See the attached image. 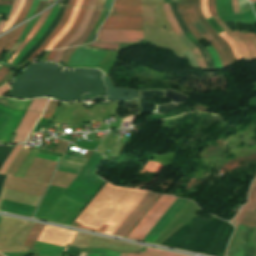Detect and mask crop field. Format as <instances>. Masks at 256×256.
Instances as JSON below:
<instances>
[{
    "label": "crop field",
    "mask_w": 256,
    "mask_h": 256,
    "mask_svg": "<svg viewBox=\"0 0 256 256\" xmlns=\"http://www.w3.org/2000/svg\"><path fill=\"white\" fill-rule=\"evenodd\" d=\"M8 89H9V88H8L7 84H6L5 86L1 87V88H0V96H1L3 93H5Z\"/></svg>",
    "instance_id": "crop-field-50"
},
{
    "label": "crop field",
    "mask_w": 256,
    "mask_h": 256,
    "mask_svg": "<svg viewBox=\"0 0 256 256\" xmlns=\"http://www.w3.org/2000/svg\"><path fill=\"white\" fill-rule=\"evenodd\" d=\"M28 24V23H27ZM23 25L22 27L18 28L17 30L3 36L0 38V53L2 52V50L5 48L7 42L9 41L10 37L12 36L8 46L6 49H10L12 47V45L16 42V40L19 38V36L21 35L23 29L25 28V26L27 25ZM5 50V49H4Z\"/></svg>",
    "instance_id": "crop-field-23"
},
{
    "label": "crop field",
    "mask_w": 256,
    "mask_h": 256,
    "mask_svg": "<svg viewBox=\"0 0 256 256\" xmlns=\"http://www.w3.org/2000/svg\"><path fill=\"white\" fill-rule=\"evenodd\" d=\"M219 35L230 45L236 60H239L240 58H242L233 39L225 32H223Z\"/></svg>",
    "instance_id": "crop-field-32"
},
{
    "label": "crop field",
    "mask_w": 256,
    "mask_h": 256,
    "mask_svg": "<svg viewBox=\"0 0 256 256\" xmlns=\"http://www.w3.org/2000/svg\"><path fill=\"white\" fill-rule=\"evenodd\" d=\"M22 146H23V144L15 146V148L12 150V152L9 154L6 161L2 165V167L0 169L1 174H4V172L7 170V168L10 166V164L12 163V161L14 160V158L16 157V155L18 154V152L22 148Z\"/></svg>",
    "instance_id": "crop-field-30"
},
{
    "label": "crop field",
    "mask_w": 256,
    "mask_h": 256,
    "mask_svg": "<svg viewBox=\"0 0 256 256\" xmlns=\"http://www.w3.org/2000/svg\"><path fill=\"white\" fill-rule=\"evenodd\" d=\"M176 199L173 196L161 195L127 238L143 241Z\"/></svg>",
    "instance_id": "crop-field-6"
},
{
    "label": "crop field",
    "mask_w": 256,
    "mask_h": 256,
    "mask_svg": "<svg viewBox=\"0 0 256 256\" xmlns=\"http://www.w3.org/2000/svg\"><path fill=\"white\" fill-rule=\"evenodd\" d=\"M60 6L61 5L59 3L57 6H55L52 9V11H51L50 15L48 16V18L46 19L44 25L41 27V29L38 31V33L33 37V39L26 45V47L17 55V57L15 58V60L13 61V63L11 65L16 67V65L20 62V60L25 55V53L41 38V36L44 34L46 29L50 26L51 22L56 17Z\"/></svg>",
    "instance_id": "crop-field-15"
},
{
    "label": "crop field",
    "mask_w": 256,
    "mask_h": 256,
    "mask_svg": "<svg viewBox=\"0 0 256 256\" xmlns=\"http://www.w3.org/2000/svg\"><path fill=\"white\" fill-rule=\"evenodd\" d=\"M18 2H19V0H15L14 5H13V8H12L10 14H9V18H10V16H11L12 12L14 11V9L16 8Z\"/></svg>",
    "instance_id": "crop-field-52"
},
{
    "label": "crop field",
    "mask_w": 256,
    "mask_h": 256,
    "mask_svg": "<svg viewBox=\"0 0 256 256\" xmlns=\"http://www.w3.org/2000/svg\"><path fill=\"white\" fill-rule=\"evenodd\" d=\"M47 101L48 99L32 100L25 116L23 117L16 131L17 135L12 144L26 141L29 132L34 127L38 118L43 112Z\"/></svg>",
    "instance_id": "crop-field-7"
},
{
    "label": "crop field",
    "mask_w": 256,
    "mask_h": 256,
    "mask_svg": "<svg viewBox=\"0 0 256 256\" xmlns=\"http://www.w3.org/2000/svg\"><path fill=\"white\" fill-rule=\"evenodd\" d=\"M112 5V0H106L104 9L105 10H110Z\"/></svg>",
    "instance_id": "crop-field-47"
},
{
    "label": "crop field",
    "mask_w": 256,
    "mask_h": 256,
    "mask_svg": "<svg viewBox=\"0 0 256 256\" xmlns=\"http://www.w3.org/2000/svg\"><path fill=\"white\" fill-rule=\"evenodd\" d=\"M107 51L79 47L68 65L98 66Z\"/></svg>",
    "instance_id": "crop-field-10"
},
{
    "label": "crop field",
    "mask_w": 256,
    "mask_h": 256,
    "mask_svg": "<svg viewBox=\"0 0 256 256\" xmlns=\"http://www.w3.org/2000/svg\"><path fill=\"white\" fill-rule=\"evenodd\" d=\"M37 157H41V158H45V159H49V160H53V161H57V162L59 160L58 157L49 156V155H45V154H41V153H38Z\"/></svg>",
    "instance_id": "crop-field-43"
},
{
    "label": "crop field",
    "mask_w": 256,
    "mask_h": 256,
    "mask_svg": "<svg viewBox=\"0 0 256 256\" xmlns=\"http://www.w3.org/2000/svg\"><path fill=\"white\" fill-rule=\"evenodd\" d=\"M81 2H82V0H76V5L75 6H80Z\"/></svg>",
    "instance_id": "crop-field-56"
},
{
    "label": "crop field",
    "mask_w": 256,
    "mask_h": 256,
    "mask_svg": "<svg viewBox=\"0 0 256 256\" xmlns=\"http://www.w3.org/2000/svg\"><path fill=\"white\" fill-rule=\"evenodd\" d=\"M89 256H103V254L91 251ZM104 256H112V255L104 254Z\"/></svg>",
    "instance_id": "crop-field-49"
},
{
    "label": "crop field",
    "mask_w": 256,
    "mask_h": 256,
    "mask_svg": "<svg viewBox=\"0 0 256 256\" xmlns=\"http://www.w3.org/2000/svg\"><path fill=\"white\" fill-rule=\"evenodd\" d=\"M158 196L159 194L148 192L114 235L125 237Z\"/></svg>",
    "instance_id": "crop-field-8"
},
{
    "label": "crop field",
    "mask_w": 256,
    "mask_h": 256,
    "mask_svg": "<svg viewBox=\"0 0 256 256\" xmlns=\"http://www.w3.org/2000/svg\"><path fill=\"white\" fill-rule=\"evenodd\" d=\"M208 7L213 17L217 16L216 10H215V0H209L208 1Z\"/></svg>",
    "instance_id": "crop-field-41"
},
{
    "label": "crop field",
    "mask_w": 256,
    "mask_h": 256,
    "mask_svg": "<svg viewBox=\"0 0 256 256\" xmlns=\"http://www.w3.org/2000/svg\"><path fill=\"white\" fill-rule=\"evenodd\" d=\"M229 35H230V36L234 39V41L236 42V44H237V46H238V48H239V50H240V52H241V54H242V56H243V59H244L245 61H251L250 55H249V53H248V51H247L245 45H244L243 42L240 40V38L237 36V34L233 32V33H231V34H229Z\"/></svg>",
    "instance_id": "crop-field-31"
},
{
    "label": "crop field",
    "mask_w": 256,
    "mask_h": 256,
    "mask_svg": "<svg viewBox=\"0 0 256 256\" xmlns=\"http://www.w3.org/2000/svg\"><path fill=\"white\" fill-rule=\"evenodd\" d=\"M38 2H39V0H33V3H32V0H27L25 5H24V7H23V10H22V12H21V14H20V16L18 18V20L16 19L17 21H16V23L14 25H16L19 22L23 21V19L25 18V15H26V13H27L31 3H32V5H31V8H30V10L28 11V13L26 15V18L32 16V14H33V12H34Z\"/></svg>",
    "instance_id": "crop-field-28"
},
{
    "label": "crop field",
    "mask_w": 256,
    "mask_h": 256,
    "mask_svg": "<svg viewBox=\"0 0 256 256\" xmlns=\"http://www.w3.org/2000/svg\"><path fill=\"white\" fill-rule=\"evenodd\" d=\"M101 28L142 30V17L108 16Z\"/></svg>",
    "instance_id": "crop-field-12"
},
{
    "label": "crop field",
    "mask_w": 256,
    "mask_h": 256,
    "mask_svg": "<svg viewBox=\"0 0 256 256\" xmlns=\"http://www.w3.org/2000/svg\"><path fill=\"white\" fill-rule=\"evenodd\" d=\"M4 23H5V21H0V32H1V29H2V27L4 25Z\"/></svg>",
    "instance_id": "crop-field-57"
},
{
    "label": "crop field",
    "mask_w": 256,
    "mask_h": 256,
    "mask_svg": "<svg viewBox=\"0 0 256 256\" xmlns=\"http://www.w3.org/2000/svg\"><path fill=\"white\" fill-rule=\"evenodd\" d=\"M101 11L95 10L94 14L92 16V19L85 31V33L72 45V46H76V45H82V43L85 41V39L88 37L89 33L91 32L93 26L95 25L96 21L98 20L99 16H100Z\"/></svg>",
    "instance_id": "crop-field-29"
},
{
    "label": "crop field",
    "mask_w": 256,
    "mask_h": 256,
    "mask_svg": "<svg viewBox=\"0 0 256 256\" xmlns=\"http://www.w3.org/2000/svg\"><path fill=\"white\" fill-rule=\"evenodd\" d=\"M240 224L256 227V214L247 213ZM241 225L229 243V256H256V228Z\"/></svg>",
    "instance_id": "crop-field-4"
},
{
    "label": "crop field",
    "mask_w": 256,
    "mask_h": 256,
    "mask_svg": "<svg viewBox=\"0 0 256 256\" xmlns=\"http://www.w3.org/2000/svg\"><path fill=\"white\" fill-rule=\"evenodd\" d=\"M249 1L254 2V1H256V0H249Z\"/></svg>",
    "instance_id": "crop-field-58"
},
{
    "label": "crop field",
    "mask_w": 256,
    "mask_h": 256,
    "mask_svg": "<svg viewBox=\"0 0 256 256\" xmlns=\"http://www.w3.org/2000/svg\"><path fill=\"white\" fill-rule=\"evenodd\" d=\"M206 50L209 52V54L212 57V61H213L215 70H221L222 67H221L220 60H219V57H218L216 51L213 49V47L206 48Z\"/></svg>",
    "instance_id": "crop-field-35"
},
{
    "label": "crop field",
    "mask_w": 256,
    "mask_h": 256,
    "mask_svg": "<svg viewBox=\"0 0 256 256\" xmlns=\"http://www.w3.org/2000/svg\"><path fill=\"white\" fill-rule=\"evenodd\" d=\"M105 0H97V4L95 8L102 9L104 5Z\"/></svg>",
    "instance_id": "crop-field-48"
},
{
    "label": "crop field",
    "mask_w": 256,
    "mask_h": 256,
    "mask_svg": "<svg viewBox=\"0 0 256 256\" xmlns=\"http://www.w3.org/2000/svg\"><path fill=\"white\" fill-rule=\"evenodd\" d=\"M103 155V154H102ZM100 153L94 152L93 156L74 179V181L66 188L63 194L75 199L76 201L86 205L97 190L102 186L104 181L95 175L97 164L104 157Z\"/></svg>",
    "instance_id": "crop-field-2"
},
{
    "label": "crop field",
    "mask_w": 256,
    "mask_h": 256,
    "mask_svg": "<svg viewBox=\"0 0 256 256\" xmlns=\"http://www.w3.org/2000/svg\"><path fill=\"white\" fill-rule=\"evenodd\" d=\"M73 7H67L65 10V13L63 15V18L58 23L57 27L51 32V34L47 37V39L44 41V43L40 46V48L33 53V55L28 60H34L35 56L42 50L45 49V47L48 45V43L63 29L70 13Z\"/></svg>",
    "instance_id": "crop-field-18"
},
{
    "label": "crop field",
    "mask_w": 256,
    "mask_h": 256,
    "mask_svg": "<svg viewBox=\"0 0 256 256\" xmlns=\"http://www.w3.org/2000/svg\"><path fill=\"white\" fill-rule=\"evenodd\" d=\"M75 235H76L75 232L45 226V228L43 229L38 239L63 245V246H67L71 244Z\"/></svg>",
    "instance_id": "crop-field-11"
},
{
    "label": "crop field",
    "mask_w": 256,
    "mask_h": 256,
    "mask_svg": "<svg viewBox=\"0 0 256 256\" xmlns=\"http://www.w3.org/2000/svg\"><path fill=\"white\" fill-rule=\"evenodd\" d=\"M93 47L108 49V50H118L119 44H104L99 42L92 43Z\"/></svg>",
    "instance_id": "crop-field-36"
},
{
    "label": "crop field",
    "mask_w": 256,
    "mask_h": 256,
    "mask_svg": "<svg viewBox=\"0 0 256 256\" xmlns=\"http://www.w3.org/2000/svg\"><path fill=\"white\" fill-rule=\"evenodd\" d=\"M144 39L142 31L128 30H101L99 29L98 38L102 42L111 43H131Z\"/></svg>",
    "instance_id": "crop-field-9"
},
{
    "label": "crop field",
    "mask_w": 256,
    "mask_h": 256,
    "mask_svg": "<svg viewBox=\"0 0 256 256\" xmlns=\"http://www.w3.org/2000/svg\"><path fill=\"white\" fill-rule=\"evenodd\" d=\"M50 12L47 11L45 13L42 14L41 18L39 19V21L36 23V25L32 28V30L30 31L28 37L23 41V43L18 47V49L15 51V53L13 54V56L10 58L9 62L11 64V62L13 61L14 57L25 47V45L32 39V37L37 33V31L39 30V28L41 27V25L43 24V22L45 21L48 13Z\"/></svg>",
    "instance_id": "crop-field-20"
},
{
    "label": "crop field",
    "mask_w": 256,
    "mask_h": 256,
    "mask_svg": "<svg viewBox=\"0 0 256 256\" xmlns=\"http://www.w3.org/2000/svg\"><path fill=\"white\" fill-rule=\"evenodd\" d=\"M121 256H182V255L145 248L141 250L140 255L132 254V253H122Z\"/></svg>",
    "instance_id": "crop-field-26"
},
{
    "label": "crop field",
    "mask_w": 256,
    "mask_h": 256,
    "mask_svg": "<svg viewBox=\"0 0 256 256\" xmlns=\"http://www.w3.org/2000/svg\"><path fill=\"white\" fill-rule=\"evenodd\" d=\"M157 10H158L159 17H160L162 23L164 24L165 28L167 29V31L172 32L173 30L170 27V25L165 17L164 11H163V3H157Z\"/></svg>",
    "instance_id": "crop-field-34"
},
{
    "label": "crop field",
    "mask_w": 256,
    "mask_h": 256,
    "mask_svg": "<svg viewBox=\"0 0 256 256\" xmlns=\"http://www.w3.org/2000/svg\"><path fill=\"white\" fill-rule=\"evenodd\" d=\"M78 47L68 48L65 54L62 56L61 61L68 62L70 55H72Z\"/></svg>",
    "instance_id": "crop-field-39"
},
{
    "label": "crop field",
    "mask_w": 256,
    "mask_h": 256,
    "mask_svg": "<svg viewBox=\"0 0 256 256\" xmlns=\"http://www.w3.org/2000/svg\"><path fill=\"white\" fill-rule=\"evenodd\" d=\"M56 52H57V50L51 51L50 54H49V56H48V58H47V60H53V58H54Z\"/></svg>",
    "instance_id": "crop-field-51"
},
{
    "label": "crop field",
    "mask_w": 256,
    "mask_h": 256,
    "mask_svg": "<svg viewBox=\"0 0 256 256\" xmlns=\"http://www.w3.org/2000/svg\"><path fill=\"white\" fill-rule=\"evenodd\" d=\"M185 56L187 57L190 66H193V67H197V68H198L197 63H196V61H195L193 55H192L189 51H188V52H185Z\"/></svg>",
    "instance_id": "crop-field-40"
},
{
    "label": "crop field",
    "mask_w": 256,
    "mask_h": 256,
    "mask_svg": "<svg viewBox=\"0 0 256 256\" xmlns=\"http://www.w3.org/2000/svg\"><path fill=\"white\" fill-rule=\"evenodd\" d=\"M110 15L142 16L141 0H114Z\"/></svg>",
    "instance_id": "crop-field-14"
},
{
    "label": "crop field",
    "mask_w": 256,
    "mask_h": 256,
    "mask_svg": "<svg viewBox=\"0 0 256 256\" xmlns=\"http://www.w3.org/2000/svg\"><path fill=\"white\" fill-rule=\"evenodd\" d=\"M89 4V0H84L81 7H87Z\"/></svg>",
    "instance_id": "crop-field-54"
},
{
    "label": "crop field",
    "mask_w": 256,
    "mask_h": 256,
    "mask_svg": "<svg viewBox=\"0 0 256 256\" xmlns=\"http://www.w3.org/2000/svg\"><path fill=\"white\" fill-rule=\"evenodd\" d=\"M164 10H165V14L172 26V28L174 29V31L176 32L177 36L179 37V39L187 46V48L193 53V55L195 56L198 66L199 67H203L206 68L205 62L203 60V57L200 53V51L197 49V47L190 41L188 40L182 33L181 29L179 28L177 22L175 21L171 9H170V5L169 4H164Z\"/></svg>",
    "instance_id": "crop-field-13"
},
{
    "label": "crop field",
    "mask_w": 256,
    "mask_h": 256,
    "mask_svg": "<svg viewBox=\"0 0 256 256\" xmlns=\"http://www.w3.org/2000/svg\"><path fill=\"white\" fill-rule=\"evenodd\" d=\"M10 8L11 7H9V6H0V14L8 15Z\"/></svg>",
    "instance_id": "crop-field-44"
},
{
    "label": "crop field",
    "mask_w": 256,
    "mask_h": 256,
    "mask_svg": "<svg viewBox=\"0 0 256 256\" xmlns=\"http://www.w3.org/2000/svg\"><path fill=\"white\" fill-rule=\"evenodd\" d=\"M9 69L2 66V68L0 69V80L5 76V74L9 71Z\"/></svg>",
    "instance_id": "crop-field-46"
},
{
    "label": "crop field",
    "mask_w": 256,
    "mask_h": 256,
    "mask_svg": "<svg viewBox=\"0 0 256 256\" xmlns=\"http://www.w3.org/2000/svg\"><path fill=\"white\" fill-rule=\"evenodd\" d=\"M0 67H1V65H0Z\"/></svg>",
    "instance_id": "crop-field-59"
},
{
    "label": "crop field",
    "mask_w": 256,
    "mask_h": 256,
    "mask_svg": "<svg viewBox=\"0 0 256 256\" xmlns=\"http://www.w3.org/2000/svg\"><path fill=\"white\" fill-rule=\"evenodd\" d=\"M94 10H91V9H88L77 32L74 34V36L68 40L65 44H63L61 46V48L63 47H69L75 40H77L85 31L90 19H91V16H92V13H93Z\"/></svg>",
    "instance_id": "crop-field-21"
},
{
    "label": "crop field",
    "mask_w": 256,
    "mask_h": 256,
    "mask_svg": "<svg viewBox=\"0 0 256 256\" xmlns=\"http://www.w3.org/2000/svg\"><path fill=\"white\" fill-rule=\"evenodd\" d=\"M74 4H75V0H69L67 5L74 6Z\"/></svg>",
    "instance_id": "crop-field-55"
},
{
    "label": "crop field",
    "mask_w": 256,
    "mask_h": 256,
    "mask_svg": "<svg viewBox=\"0 0 256 256\" xmlns=\"http://www.w3.org/2000/svg\"><path fill=\"white\" fill-rule=\"evenodd\" d=\"M79 8L74 7L73 11L70 15V18L67 22V24L65 25L64 29L50 42V44L46 47V49H52L56 43L69 31L71 25L74 22L75 16L78 12Z\"/></svg>",
    "instance_id": "crop-field-24"
},
{
    "label": "crop field",
    "mask_w": 256,
    "mask_h": 256,
    "mask_svg": "<svg viewBox=\"0 0 256 256\" xmlns=\"http://www.w3.org/2000/svg\"><path fill=\"white\" fill-rule=\"evenodd\" d=\"M177 6H178V9H179V12L182 16V18L184 19L185 23L187 24L190 32L194 35V37L199 40L201 38H203L199 32L196 30V28L194 27V25L192 24L190 18H189V15H188V12L185 8V1L184 0H178L177 1Z\"/></svg>",
    "instance_id": "crop-field-19"
},
{
    "label": "crop field",
    "mask_w": 256,
    "mask_h": 256,
    "mask_svg": "<svg viewBox=\"0 0 256 256\" xmlns=\"http://www.w3.org/2000/svg\"><path fill=\"white\" fill-rule=\"evenodd\" d=\"M232 3V8H233V13L234 14H239V5H238V0H231Z\"/></svg>",
    "instance_id": "crop-field-42"
},
{
    "label": "crop field",
    "mask_w": 256,
    "mask_h": 256,
    "mask_svg": "<svg viewBox=\"0 0 256 256\" xmlns=\"http://www.w3.org/2000/svg\"><path fill=\"white\" fill-rule=\"evenodd\" d=\"M66 51V49H62V50H58V52H57V54H56V56H55V58H54V60L53 61H59V59L61 58V56L63 55V53Z\"/></svg>",
    "instance_id": "crop-field-45"
},
{
    "label": "crop field",
    "mask_w": 256,
    "mask_h": 256,
    "mask_svg": "<svg viewBox=\"0 0 256 256\" xmlns=\"http://www.w3.org/2000/svg\"><path fill=\"white\" fill-rule=\"evenodd\" d=\"M238 36L242 39L244 44L246 45L252 61L256 59V37L254 34H241L237 30L235 31Z\"/></svg>",
    "instance_id": "crop-field-22"
},
{
    "label": "crop field",
    "mask_w": 256,
    "mask_h": 256,
    "mask_svg": "<svg viewBox=\"0 0 256 256\" xmlns=\"http://www.w3.org/2000/svg\"><path fill=\"white\" fill-rule=\"evenodd\" d=\"M143 7V27L160 26L155 3H142Z\"/></svg>",
    "instance_id": "crop-field-17"
},
{
    "label": "crop field",
    "mask_w": 256,
    "mask_h": 256,
    "mask_svg": "<svg viewBox=\"0 0 256 256\" xmlns=\"http://www.w3.org/2000/svg\"><path fill=\"white\" fill-rule=\"evenodd\" d=\"M43 228H44L43 225L35 224V226L29 232V234L26 238L25 244L23 243L24 245L22 247L31 249L35 240L37 239V237L39 236V234Z\"/></svg>",
    "instance_id": "crop-field-27"
},
{
    "label": "crop field",
    "mask_w": 256,
    "mask_h": 256,
    "mask_svg": "<svg viewBox=\"0 0 256 256\" xmlns=\"http://www.w3.org/2000/svg\"><path fill=\"white\" fill-rule=\"evenodd\" d=\"M255 210H256V179L250 186V195H249L248 204L241 208L238 215L234 220L231 221V223L237 226L247 212L254 213Z\"/></svg>",
    "instance_id": "crop-field-16"
},
{
    "label": "crop field",
    "mask_w": 256,
    "mask_h": 256,
    "mask_svg": "<svg viewBox=\"0 0 256 256\" xmlns=\"http://www.w3.org/2000/svg\"><path fill=\"white\" fill-rule=\"evenodd\" d=\"M57 103L58 102L51 100L50 104L48 105V107L42 117L50 119L55 110Z\"/></svg>",
    "instance_id": "crop-field-37"
},
{
    "label": "crop field",
    "mask_w": 256,
    "mask_h": 256,
    "mask_svg": "<svg viewBox=\"0 0 256 256\" xmlns=\"http://www.w3.org/2000/svg\"><path fill=\"white\" fill-rule=\"evenodd\" d=\"M30 101L31 100L25 102H18L15 106V101L0 98V131L2 130L5 122L7 121L15 106L12 114L10 115L7 123L5 124L3 130L0 133L1 143L8 144Z\"/></svg>",
    "instance_id": "crop-field-5"
},
{
    "label": "crop field",
    "mask_w": 256,
    "mask_h": 256,
    "mask_svg": "<svg viewBox=\"0 0 256 256\" xmlns=\"http://www.w3.org/2000/svg\"><path fill=\"white\" fill-rule=\"evenodd\" d=\"M146 193L106 183L72 226L113 235Z\"/></svg>",
    "instance_id": "crop-field-1"
},
{
    "label": "crop field",
    "mask_w": 256,
    "mask_h": 256,
    "mask_svg": "<svg viewBox=\"0 0 256 256\" xmlns=\"http://www.w3.org/2000/svg\"><path fill=\"white\" fill-rule=\"evenodd\" d=\"M87 9H84V8H81L78 15H77V18H76V21L73 25V27L71 28V30L57 43V45L53 48V49H56V48H60V46L65 43L68 39H70L73 34L75 33L77 27L79 26L85 12H86Z\"/></svg>",
    "instance_id": "crop-field-25"
},
{
    "label": "crop field",
    "mask_w": 256,
    "mask_h": 256,
    "mask_svg": "<svg viewBox=\"0 0 256 256\" xmlns=\"http://www.w3.org/2000/svg\"><path fill=\"white\" fill-rule=\"evenodd\" d=\"M96 0H90L89 7L94 8L95 7Z\"/></svg>",
    "instance_id": "crop-field-53"
},
{
    "label": "crop field",
    "mask_w": 256,
    "mask_h": 256,
    "mask_svg": "<svg viewBox=\"0 0 256 256\" xmlns=\"http://www.w3.org/2000/svg\"><path fill=\"white\" fill-rule=\"evenodd\" d=\"M24 3H25V0H20L19 5L16 8L15 12L13 13V15L11 16V18L8 21H6L5 26H4L3 30H2V32L12 26L14 20L16 19V17L18 16L19 12L21 11Z\"/></svg>",
    "instance_id": "crop-field-33"
},
{
    "label": "crop field",
    "mask_w": 256,
    "mask_h": 256,
    "mask_svg": "<svg viewBox=\"0 0 256 256\" xmlns=\"http://www.w3.org/2000/svg\"><path fill=\"white\" fill-rule=\"evenodd\" d=\"M193 1L194 3L192 4ZM199 3L200 0H186V8L189 12L192 22L196 26L197 30L202 34V36L208 40L216 49L221 59L222 67L228 64H230V66L233 65L236 63V61L232 55L229 45L220 36L217 35V33L212 29L206 19H204L199 8ZM225 55L228 60L226 59Z\"/></svg>",
    "instance_id": "crop-field-3"
},
{
    "label": "crop field",
    "mask_w": 256,
    "mask_h": 256,
    "mask_svg": "<svg viewBox=\"0 0 256 256\" xmlns=\"http://www.w3.org/2000/svg\"><path fill=\"white\" fill-rule=\"evenodd\" d=\"M201 10L205 18L211 17V14L207 7V0H201Z\"/></svg>",
    "instance_id": "crop-field-38"
}]
</instances>
